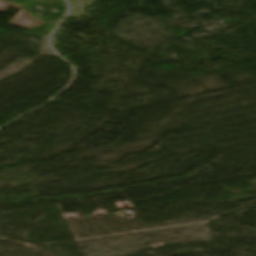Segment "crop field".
I'll return each instance as SVG.
<instances>
[{"label": "crop field", "instance_id": "obj_2", "mask_svg": "<svg viewBox=\"0 0 256 256\" xmlns=\"http://www.w3.org/2000/svg\"><path fill=\"white\" fill-rule=\"evenodd\" d=\"M8 8V5L7 4H3V3H0V11L1 12H4V10Z\"/></svg>", "mask_w": 256, "mask_h": 256}, {"label": "crop field", "instance_id": "obj_1", "mask_svg": "<svg viewBox=\"0 0 256 256\" xmlns=\"http://www.w3.org/2000/svg\"><path fill=\"white\" fill-rule=\"evenodd\" d=\"M31 21L32 20L26 16V10L22 9L9 24L21 28H26L29 26Z\"/></svg>", "mask_w": 256, "mask_h": 256}]
</instances>
